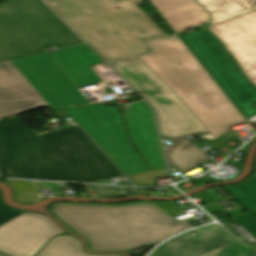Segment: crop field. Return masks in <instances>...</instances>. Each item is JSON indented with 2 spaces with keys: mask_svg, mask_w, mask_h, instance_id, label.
I'll return each mask as SVG.
<instances>
[{
  "mask_svg": "<svg viewBox=\"0 0 256 256\" xmlns=\"http://www.w3.org/2000/svg\"><path fill=\"white\" fill-rule=\"evenodd\" d=\"M92 242L93 250H127L180 233L191 226L170 217L172 205L136 204L122 207L58 205L53 210Z\"/></svg>",
  "mask_w": 256,
  "mask_h": 256,
  "instance_id": "34b2d1b8",
  "label": "crop field"
},
{
  "mask_svg": "<svg viewBox=\"0 0 256 256\" xmlns=\"http://www.w3.org/2000/svg\"><path fill=\"white\" fill-rule=\"evenodd\" d=\"M54 112L59 117L71 116L127 175L150 170L128 142L114 107L98 104Z\"/></svg>",
  "mask_w": 256,
  "mask_h": 256,
  "instance_id": "d8731c3e",
  "label": "crop field"
},
{
  "mask_svg": "<svg viewBox=\"0 0 256 256\" xmlns=\"http://www.w3.org/2000/svg\"><path fill=\"white\" fill-rule=\"evenodd\" d=\"M206 211H208L210 214L212 213H216V212H219V211H223L219 206L217 205H212V206H209V207H205L204 208Z\"/></svg>",
  "mask_w": 256,
  "mask_h": 256,
  "instance_id": "00972430",
  "label": "crop field"
},
{
  "mask_svg": "<svg viewBox=\"0 0 256 256\" xmlns=\"http://www.w3.org/2000/svg\"><path fill=\"white\" fill-rule=\"evenodd\" d=\"M0 172L76 182L122 175L77 126L37 137L15 116L0 121Z\"/></svg>",
  "mask_w": 256,
  "mask_h": 256,
  "instance_id": "8a807250",
  "label": "crop field"
},
{
  "mask_svg": "<svg viewBox=\"0 0 256 256\" xmlns=\"http://www.w3.org/2000/svg\"><path fill=\"white\" fill-rule=\"evenodd\" d=\"M24 211L13 209L7 205H5L2 201L1 193H0V225L5 222L11 220L12 218L18 216Z\"/></svg>",
  "mask_w": 256,
  "mask_h": 256,
  "instance_id": "92a150f3",
  "label": "crop field"
},
{
  "mask_svg": "<svg viewBox=\"0 0 256 256\" xmlns=\"http://www.w3.org/2000/svg\"><path fill=\"white\" fill-rule=\"evenodd\" d=\"M176 32L207 23L209 13L195 0H151Z\"/></svg>",
  "mask_w": 256,
  "mask_h": 256,
  "instance_id": "5142ce71",
  "label": "crop field"
},
{
  "mask_svg": "<svg viewBox=\"0 0 256 256\" xmlns=\"http://www.w3.org/2000/svg\"><path fill=\"white\" fill-rule=\"evenodd\" d=\"M256 85V10L208 27Z\"/></svg>",
  "mask_w": 256,
  "mask_h": 256,
  "instance_id": "d1516ede",
  "label": "crop field"
},
{
  "mask_svg": "<svg viewBox=\"0 0 256 256\" xmlns=\"http://www.w3.org/2000/svg\"><path fill=\"white\" fill-rule=\"evenodd\" d=\"M89 103L45 52L0 62V120L48 105Z\"/></svg>",
  "mask_w": 256,
  "mask_h": 256,
  "instance_id": "f4fd0767",
  "label": "crop field"
},
{
  "mask_svg": "<svg viewBox=\"0 0 256 256\" xmlns=\"http://www.w3.org/2000/svg\"><path fill=\"white\" fill-rule=\"evenodd\" d=\"M39 0H7L0 4V61L81 43Z\"/></svg>",
  "mask_w": 256,
  "mask_h": 256,
  "instance_id": "e52e79f7",
  "label": "crop field"
},
{
  "mask_svg": "<svg viewBox=\"0 0 256 256\" xmlns=\"http://www.w3.org/2000/svg\"><path fill=\"white\" fill-rule=\"evenodd\" d=\"M179 38L244 118L255 115L256 108L251 105L256 103V89L244 80L220 43L205 30Z\"/></svg>",
  "mask_w": 256,
  "mask_h": 256,
  "instance_id": "5a996713",
  "label": "crop field"
},
{
  "mask_svg": "<svg viewBox=\"0 0 256 256\" xmlns=\"http://www.w3.org/2000/svg\"><path fill=\"white\" fill-rule=\"evenodd\" d=\"M168 176L167 169L157 170L150 173L130 176L138 186H150L154 185V177Z\"/></svg>",
  "mask_w": 256,
  "mask_h": 256,
  "instance_id": "bc2a9ffb",
  "label": "crop field"
},
{
  "mask_svg": "<svg viewBox=\"0 0 256 256\" xmlns=\"http://www.w3.org/2000/svg\"><path fill=\"white\" fill-rule=\"evenodd\" d=\"M136 203H157V202H150V201H135V202H128V203H121V204H86V203H71V202H59V203H53L49 210H53L55 205L57 204H77V205H99V206H122V205H130V204H136ZM166 204H170V202H165ZM53 216L57 217L68 229L75 232L70 226L66 224L62 219H60L53 211L50 212ZM76 233V232H75ZM78 234V233H77ZM80 235V234H79ZM82 236V235H81ZM84 237V236H83ZM85 238V237H84ZM88 242V249L91 250V243L88 239H86ZM148 246V245H147ZM144 247V246H143ZM140 248V247H139ZM136 249V248H135ZM132 250V249H131ZM128 251V250H127Z\"/></svg>",
  "mask_w": 256,
  "mask_h": 256,
  "instance_id": "214f88e0",
  "label": "crop field"
},
{
  "mask_svg": "<svg viewBox=\"0 0 256 256\" xmlns=\"http://www.w3.org/2000/svg\"><path fill=\"white\" fill-rule=\"evenodd\" d=\"M77 88L102 82L90 68L102 61L85 45L48 53Z\"/></svg>",
  "mask_w": 256,
  "mask_h": 256,
  "instance_id": "cbeb9de0",
  "label": "crop field"
},
{
  "mask_svg": "<svg viewBox=\"0 0 256 256\" xmlns=\"http://www.w3.org/2000/svg\"><path fill=\"white\" fill-rule=\"evenodd\" d=\"M211 14L210 24L256 9V0H197Z\"/></svg>",
  "mask_w": 256,
  "mask_h": 256,
  "instance_id": "733c2abd",
  "label": "crop field"
},
{
  "mask_svg": "<svg viewBox=\"0 0 256 256\" xmlns=\"http://www.w3.org/2000/svg\"><path fill=\"white\" fill-rule=\"evenodd\" d=\"M124 117L132 142L152 170L166 168L149 106L144 101L131 104Z\"/></svg>",
  "mask_w": 256,
  "mask_h": 256,
  "instance_id": "22f410ed",
  "label": "crop field"
},
{
  "mask_svg": "<svg viewBox=\"0 0 256 256\" xmlns=\"http://www.w3.org/2000/svg\"><path fill=\"white\" fill-rule=\"evenodd\" d=\"M195 231L201 236L185 232L162 245L152 256H256V248L237 241L219 225Z\"/></svg>",
  "mask_w": 256,
  "mask_h": 256,
  "instance_id": "3316defc",
  "label": "crop field"
},
{
  "mask_svg": "<svg viewBox=\"0 0 256 256\" xmlns=\"http://www.w3.org/2000/svg\"><path fill=\"white\" fill-rule=\"evenodd\" d=\"M61 233L53 220L25 212L0 226V250L14 256H33L48 238Z\"/></svg>",
  "mask_w": 256,
  "mask_h": 256,
  "instance_id": "28ad6ade",
  "label": "crop field"
},
{
  "mask_svg": "<svg viewBox=\"0 0 256 256\" xmlns=\"http://www.w3.org/2000/svg\"><path fill=\"white\" fill-rule=\"evenodd\" d=\"M255 244H256V242H255Z\"/></svg>",
  "mask_w": 256,
  "mask_h": 256,
  "instance_id": "a9b5d70f",
  "label": "crop field"
},
{
  "mask_svg": "<svg viewBox=\"0 0 256 256\" xmlns=\"http://www.w3.org/2000/svg\"><path fill=\"white\" fill-rule=\"evenodd\" d=\"M108 64L154 107L161 135L171 137L176 142L164 147L170 167L177 166L185 173L209 161L184 137L208 131L137 57Z\"/></svg>",
  "mask_w": 256,
  "mask_h": 256,
  "instance_id": "dd49c442",
  "label": "crop field"
},
{
  "mask_svg": "<svg viewBox=\"0 0 256 256\" xmlns=\"http://www.w3.org/2000/svg\"><path fill=\"white\" fill-rule=\"evenodd\" d=\"M216 141L219 142L222 146L231 150H236V148L227 145L229 142L233 141V142L242 144L231 130L225 133L224 135L220 136L219 138H217Z\"/></svg>",
  "mask_w": 256,
  "mask_h": 256,
  "instance_id": "dafd665d",
  "label": "crop field"
},
{
  "mask_svg": "<svg viewBox=\"0 0 256 256\" xmlns=\"http://www.w3.org/2000/svg\"><path fill=\"white\" fill-rule=\"evenodd\" d=\"M43 1L106 62L146 53L144 40L166 35L138 0Z\"/></svg>",
  "mask_w": 256,
  "mask_h": 256,
  "instance_id": "ac0d7876",
  "label": "crop field"
},
{
  "mask_svg": "<svg viewBox=\"0 0 256 256\" xmlns=\"http://www.w3.org/2000/svg\"><path fill=\"white\" fill-rule=\"evenodd\" d=\"M37 256H123V255H88L81 250V242L73 236H57L44 246Z\"/></svg>",
  "mask_w": 256,
  "mask_h": 256,
  "instance_id": "4a817a6b",
  "label": "crop field"
},
{
  "mask_svg": "<svg viewBox=\"0 0 256 256\" xmlns=\"http://www.w3.org/2000/svg\"><path fill=\"white\" fill-rule=\"evenodd\" d=\"M138 58L163 81L216 139L228 126L247 122L177 36L148 41Z\"/></svg>",
  "mask_w": 256,
  "mask_h": 256,
  "instance_id": "412701ff",
  "label": "crop field"
},
{
  "mask_svg": "<svg viewBox=\"0 0 256 256\" xmlns=\"http://www.w3.org/2000/svg\"><path fill=\"white\" fill-rule=\"evenodd\" d=\"M225 189L249 211L232 218L256 237V172L247 181Z\"/></svg>",
  "mask_w": 256,
  "mask_h": 256,
  "instance_id": "d9b57169",
  "label": "crop field"
}]
</instances>
